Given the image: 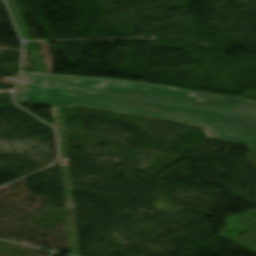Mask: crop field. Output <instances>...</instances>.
I'll return each instance as SVG.
<instances>
[{
	"label": "crop field",
	"mask_w": 256,
	"mask_h": 256,
	"mask_svg": "<svg viewBox=\"0 0 256 256\" xmlns=\"http://www.w3.org/2000/svg\"><path fill=\"white\" fill-rule=\"evenodd\" d=\"M175 87L24 72L16 100L52 106L72 104L155 118Z\"/></svg>",
	"instance_id": "obj_1"
},
{
	"label": "crop field",
	"mask_w": 256,
	"mask_h": 256,
	"mask_svg": "<svg viewBox=\"0 0 256 256\" xmlns=\"http://www.w3.org/2000/svg\"><path fill=\"white\" fill-rule=\"evenodd\" d=\"M157 119L205 126L216 139L256 148V102L178 88Z\"/></svg>",
	"instance_id": "obj_2"
}]
</instances>
